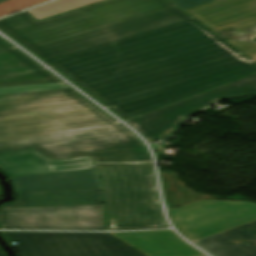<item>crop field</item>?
Listing matches in <instances>:
<instances>
[{
  "label": "crop field",
  "mask_w": 256,
  "mask_h": 256,
  "mask_svg": "<svg viewBox=\"0 0 256 256\" xmlns=\"http://www.w3.org/2000/svg\"><path fill=\"white\" fill-rule=\"evenodd\" d=\"M30 147L52 160L92 157L109 230L167 227L147 149L71 88L0 95V154Z\"/></svg>",
  "instance_id": "obj_1"
},
{
  "label": "crop field",
  "mask_w": 256,
  "mask_h": 256,
  "mask_svg": "<svg viewBox=\"0 0 256 256\" xmlns=\"http://www.w3.org/2000/svg\"><path fill=\"white\" fill-rule=\"evenodd\" d=\"M46 61L126 120L256 72L193 18Z\"/></svg>",
  "instance_id": "obj_2"
},
{
  "label": "crop field",
  "mask_w": 256,
  "mask_h": 256,
  "mask_svg": "<svg viewBox=\"0 0 256 256\" xmlns=\"http://www.w3.org/2000/svg\"><path fill=\"white\" fill-rule=\"evenodd\" d=\"M187 18L168 0H109L40 22L25 11L0 29L46 60Z\"/></svg>",
  "instance_id": "obj_3"
},
{
  "label": "crop field",
  "mask_w": 256,
  "mask_h": 256,
  "mask_svg": "<svg viewBox=\"0 0 256 256\" xmlns=\"http://www.w3.org/2000/svg\"><path fill=\"white\" fill-rule=\"evenodd\" d=\"M20 256H146L109 233H3Z\"/></svg>",
  "instance_id": "obj_4"
},
{
  "label": "crop field",
  "mask_w": 256,
  "mask_h": 256,
  "mask_svg": "<svg viewBox=\"0 0 256 256\" xmlns=\"http://www.w3.org/2000/svg\"><path fill=\"white\" fill-rule=\"evenodd\" d=\"M179 230L195 241L256 220V203L202 200L169 210Z\"/></svg>",
  "instance_id": "obj_5"
},
{
  "label": "crop field",
  "mask_w": 256,
  "mask_h": 256,
  "mask_svg": "<svg viewBox=\"0 0 256 256\" xmlns=\"http://www.w3.org/2000/svg\"><path fill=\"white\" fill-rule=\"evenodd\" d=\"M256 94V74L177 104L138 117L130 122L149 143L172 135L182 122L201 108L227 97Z\"/></svg>",
  "instance_id": "obj_6"
},
{
  "label": "crop field",
  "mask_w": 256,
  "mask_h": 256,
  "mask_svg": "<svg viewBox=\"0 0 256 256\" xmlns=\"http://www.w3.org/2000/svg\"><path fill=\"white\" fill-rule=\"evenodd\" d=\"M3 229L105 230L103 205L3 209Z\"/></svg>",
  "instance_id": "obj_7"
},
{
  "label": "crop field",
  "mask_w": 256,
  "mask_h": 256,
  "mask_svg": "<svg viewBox=\"0 0 256 256\" xmlns=\"http://www.w3.org/2000/svg\"><path fill=\"white\" fill-rule=\"evenodd\" d=\"M186 12L215 33L256 25V0H216Z\"/></svg>",
  "instance_id": "obj_8"
},
{
  "label": "crop field",
  "mask_w": 256,
  "mask_h": 256,
  "mask_svg": "<svg viewBox=\"0 0 256 256\" xmlns=\"http://www.w3.org/2000/svg\"><path fill=\"white\" fill-rule=\"evenodd\" d=\"M37 77L43 78L0 82V88L61 82L0 37V81Z\"/></svg>",
  "instance_id": "obj_9"
},
{
  "label": "crop field",
  "mask_w": 256,
  "mask_h": 256,
  "mask_svg": "<svg viewBox=\"0 0 256 256\" xmlns=\"http://www.w3.org/2000/svg\"><path fill=\"white\" fill-rule=\"evenodd\" d=\"M95 168L91 157L52 162L35 150L0 156V169L9 177Z\"/></svg>",
  "instance_id": "obj_10"
},
{
  "label": "crop field",
  "mask_w": 256,
  "mask_h": 256,
  "mask_svg": "<svg viewBox=\"0 0 256 256\" xmlns=\"http://www.w3.org/2000/svg\"><path fill=\"white\" fill-rule=\"evenodd\" d=\"M17 192L102 187L97 169L10 178Z\"/></svg>",
  "instance_id": "obj_11"
},
{
  "label": "crop field",
  "mask_w": 256,
  "mask_h": 256,
  "mask_svg": "<svg viewBox=\"0 0 256 256\" xmlns=\"http://www.w3.org/2000/svg\"><path fill=\"white\" fill-rule=\"evenodd\" d=\"M148 256H202L172 231L111 233Z\"/></svg>",
  "instance_id": "obj_12"
},
{
  "label": "crop field",
  "mask_w": 256,
  "mask_h": 256,
  "mask_svg": "<svg viewBox=\"0 0 256 256\" xmlns=\"http://www.w3.org/2000/svg\"><path fill=\"white\" fill-rule=\"evenodd\" d=\"M18 200L2 208H31L103 204V188L18 193Z\"/></svg>",
  "instance_id": "obj_13"
},
{
  "label": "crop field",
  "mask_w": 256,
  "mask_h": 256,
  "mask_svg": "<svg viewBox=\"0 0 256 256\" xmlns=\"http://www.w3.org/2000/svg\"><path fill=\"white\" fill-rule=\"evenodd\" d=\"M256 222L195 241L215 256H256ZM234 240L221 243L219 241Z\"/></svg>",
  "instance_id": "obj_14"
},
{
  "label": "crop field",
  "mask_w": 256,
  "mask_h": 256,
  "mask_svg": "<svg viewBox=\"0 0 256 256\" xmlns=\"http://www.w3.org/2000/svg\"><path fill=\"white\" fill-rule=\"evenodd\" d=\"M163 192L169 209L176 206H183L202 199H221L207 195L193 193L191 188H185L174 172H160ZM190 193V195H187Z\"/></svg>",
  "instance_id": "obj_15"
},
{
  "label": "crop field",
  "mask_w": 256,
  "mask_h": 256,
  "mask_svg": "<svg viewBox=\"0 0 256 256\" xmlns=\"http://www.w3.org/2000/svg\"><path fill=\"white\" fill-rule=\"evenodd\" d=\"M102 0H57L52 3L28 10V12L37 20H42L58 14L69 12L80 7L96 3Z\"/></svg>",
  "instance_id": "obj_16"
},
{
  "label": "crop field",
  "mask_w": 256,
  "mask_h": 256,
  "mask_svg": "<svg viewBox=\"0 0 256 256\" xmlns=\"http://www.w3.org/2000/svg\"><path fill=\"white\" fill-rule=\"evenodd\" d=\"M49 0H8L0 3V17L12 12L21 11Z\"/></svg>",
  "instance_id": "obj_17"
},
{
  "label": "crop field",
  "mask_w": 256,
  "mask_h": 256,
  "mask_svg": "<svg viewBox=\"0 0 256 256\" xmlns=\"http://www.w3.org/2000/svg\"><path fill=\"white\" fill-rule=\"evenodd\" d=\"M67 87L62 83L0 89V94Z\"/></svg>",
  "instance_id": "obj_18"
},
{
  "label": "crop field",
  "mask_w": 256,
  "mask_h": 256,
  "mask_svg": "<svg viewBox=\"0 0 256 256\" xmlns=\"http://www.w3.org/2000/svg\"><path fill=\"white\" fill-rule=\"evenodd\" d=\"M237 50H239L242 54L252 59L256 62V44L255 43H245V42H237L225 40Z\"/></svg>",
  "instance_id": "obj_19"
},
{
  "label": "crop field",
  "mask_w": 256,
  "mask_h": 256,
  "mask_svg": "<svg viewBox=\"0 0 256 256\" xmlns=\"http://www.w3.org/2000/svg\"><path fill=\"white\" fill-rule=\"evenodd\" d=\"M173 3H175L180 8L186 10L190 8H194L206 3H209L213 0H171Z\"/></svg>",
  "instance_id": "obj_20"
},
{
  "label": "crop field",
  "mask_w": 256,
  "mask_h": 256,
  "mask_svg": "<svg viewBox=\"0 0 256 256\" xmlns=\"http://www.w3.org/2000/svg\"><path fill=\"white\" fill-rule=\"evenodd\" d=\"M0 256H5L4 252L0 249Z\"/></svg>",
  "instance_id": "obj_21"
},
{
  "label": "crop field",
  "mask_w": 256,
  "mask_h": 256,
  "mask_svg": "<svg viewBox=\"0 0 256 256\" xmlns=\"http://www.w3.org/2000/svg\"><path fill=\"white\" fill-rule=\"evenodd\" d=\"M2 1H5V0H0V2H2Z\"/></svg>",
  "instance_id": "obj_22"
},
{
  "label": "crop field",
  "mask_w": 256,
  "mask_h": 256,
  "mask_svg": "<svg viewBox=\"0 0 256 256\" xmlns=\"http://www.w3.org/2000/svg\"><path fill=\"white\" fill-rule=\"evenodd\" d=\"M0 196H1V190H0Z\"/></svg>",
  "instance_id": "obj_23"
}]
</instances>
